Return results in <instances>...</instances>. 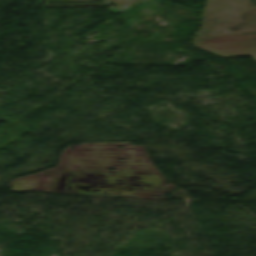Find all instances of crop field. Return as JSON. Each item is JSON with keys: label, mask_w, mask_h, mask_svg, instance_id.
I'll return each instance as SVG.
<instances>
[{"label": "crop field", "mask_w": 256, "mask_h": 256, "mask_svg": "<svg viewBox=\"0 0 256 256\" xmlns=\"http://www.w3.org/2000/svg\"><path fill=\"white\" fill-rule=\"evenodd\" d=\"M110 3H120V4H124L127 3L126 0H109Z\"/></svg>", "instance_id": "obj_3"}, {"label": "crop field", "mask_w": 256, "mask_h": 256, "mask_svg": "<svg viewBox=\"0 0 256 256\" xmlns=\"http://www.w3.org/2000/svg\"><path fill=\"white\" fill-rule=\"evenodd\" d=\"M193 44L223 57L251 56L256 62V33L198 37Z\"/></svg>", "instance_id": "obj_2"}, {"label": "crop field", "mask_w": 256, "mask_h": 256, "mask_svg": "<svg viewBox=\"0 0 256 256\" xmlns=\"http://www.w3.org/2000/svg\"><path fill=\"white\" fill-rule=\"evenodd\" d=\"M255 2H256V0H255Z\"/></svg>", "instance_id": "obj_4"}, {"label": "crop field", "mask_w": 256, "mask_h": 256, "mask_svg": "<svg viewBox=\"0 0 256 256\" xmlns=\"http://www.w3.org/2000/svg\"><path fill=\"white\" fill-rule=\"evenodd\" d=\"M256 31V4L251 0H209L195 36Z\"/></svg>", "instance_id": "obj_1"}]
</instances>
